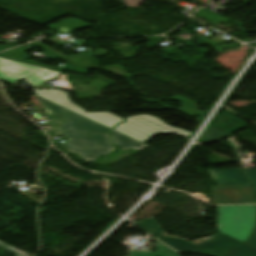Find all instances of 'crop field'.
I'll list each match as a JSON object with an SVG mask.
<instances>
[{
	"label": "crop field",
	"instance_id": "25",
	"mask_svg": "<svg viewBox=\"0 0 256 256\" xmlns=\"http://www.w3.org/2000/svg\"><path fill=\"white\" fill-rule=\"evenodd\" d=\"M190 134H191L190 132H187V131H186L184 136L187 137V138H189Z\"/></svg>",
	"mask_w": 256,
	"mask_h": 256
},
{
	"label": "crop field",
	"instance_id": "12",
	"mask_svg": "<svg viewBox=\"0 0 256 256\" xmlns=\"http://www.w3.org/2000/svg\"><path fill=\"white\" fill-rule=\"evenodd\" d=\"M111 136H112L113 144L122 150H124L128 147H133L135 149L141 150V149H144L147 146H149L145 143H142L138 140L128 137L122 133L115 131V130H113L111 132Z\"/></svg>",
	"mask_w": 256,
	"mask_h": 256
},
{
	"label": "crop field",
	"instance_id": "11",
	"mask_svg": "<svg viewBox=\"0 0 256 256\" xmlns=\"http://www.w3.org/2000/svg\"><path fill=\"white\" fill-rule=\"evenodd\" d=\"M90 26L91 25L89 23L83 22L75 18H71L67 20H62L61 23L50 25L48 27H50L53 30L51 32L55 33L53 35H57V34L64 35V34L71 33L72 30L90 27Z\"/></svg>",
	"mask_w": 256,
	"mask_h": 256
},
{
	"label": "crop field",
	"instance_id": "20",
	"mask_svg": "<svg viewBox=\"0 0 256 256\" xmlns=\"http://www.w3.org/2000/svg\"><path fill=\"white\" fill-rule=\"evenodd\" d=\"M245 172L251 180L252 184L256 186V169L245 170Z\"/></svg>",
	"mask_w": 256,
	"mask_h": 256
},
{
	"label": "crop field",
	"instance_id": "14",
	"mask_svg": "<svg viewBox=\"0 0 256 256\" xmlns=\"http://www.w3.org/2000/svg\"><path fill=\"white\" fill-rule=\"evenodd\" d=\"M84 117H87L91 120H94L96 122H99L109 128H113L116 123H120L123 121L122 118H119L117 116H114L108 112L105 113H86L82 115Z\"/></svg>",
	"mask_w": 256,
	"mask_h": 256
},
{
	"label": "crop field",
	"instance_id": "5",
	"mask_svg": "<svg viewBox=\"0 0 256 256\" xmlns=\"http://www.w3.org/2000/svg\"><path fill=\"white\" fill-rule=\"evenodd\" d=\"M127 122L118 125L115 130L129 135L142 142L163 133L184 135V130L166 125L162 120L148 115L126 118Z\"/></svg>",
	"mask_w": 256,
	"mask_h": 256
},
{
	"label": "crop field",
	"instance_id": "26",
	"mask_svg": "<svg viewBox=\"0 0 256 256\" xmlns=\"http://www.w3.org/2000/svg\"><path fill=\"white\" fill-rule=\"evenodd\" d=\"M255 188V192H256V187H254Z\"/></svg>",
	"mask_w": 256,
	"mask_h": 256
},
{
	"label": "crop field",
	"instance_id": "10",
	"mask_svg": "<svg viewBox=\"0 0 256 256\" xmlns=\"http://www.w3.org/2000/svg\"><path fill=\"white\" fill-rule=\"evenodd\" d=\"M35 95L58 104L66 109H69L79 115L85 113V110L71 103L66 92L62 90H38L34 91Z\"/></svg>",
	"mask_w": 256,
	"mask_h": 256
},
{
	"label": "crop field",
	"instance_id": "3",
	"mask_svg": "<svg viewBox=\"0 0 256 256\" xmlns=\"http://www.w3.org/2000/svg\"><path fill=\"white\" fill-rule=\"evenodd\" d=\"M53 126V131L109 134L110 129L68 111L58 105H43Z\"/></svg>",
	"mask_w": 256,
	"mask_h": 256
},
{
	"label": "crop field",
	"instance_id": "22",
	"mask_svg": "<svg viewBox=\"0 0 256 256\" xmlns=\"http://www.w3.org/2000/svg\"><path fill=\"white\" fill-rule=\"evenodd\" d=\"M248 245H250V246L256 248V231H255V233L253 234L251 240L248 242Z\"/></svg>",
	"mask_w": 256,
	"mask_h": 256
},
{
	"label": "crop field",
	"instance_id": "2",
	"mask_svg": "<svg viewBox=\"0 0 256 256\" xmlns=\"http://www.w3.org/2000/svg\"><path fill=\"white\" fill-rule=\"evenodd\" d=\"M256 206L218 207V231L243 243L255 227Z\"/></svg>",
	"mask_w": 256,
	"mask_h": 256
},
{
	"label": "crop field",
	"instance_id": "24",
	"mask_svg": "<svg viewBox=\"0 0 256 256\" xmlns=\"http://www.w3.org/2000/svg\"><path fill=\"white\" fill-rule=\"evenodd\" d=\"M36 97H37V96H36ZM37 99L40 101L41 104H53V103H51V102H49V101H46V100H44V99H42V98H40V97H37Z\"/></svg>",
	"mask_w": 256,
	"mask_h": 256
},
{
	"label": "crop field",
	"instance_id": "17",
	"mask_svg": "<svg viewBox=\"0 0 256 256\" xmlns=\"http://www.w3.org/2000/svg\"><path fill=\"white\" fill-rule=\"evenodd\" d=\"M229 135L218 131L212 127H210V129L208 130V132L205 134V136L203 137V140L210 142V141H214V140H218V139H222L225 138Z\"/></svg>",
	"mask_w": 256,
	"mask_h": 256
},
{
	"label": "crop field",
	"instance_id": "13",
	"mask_svg": "<svg viewBox=\"0 0 256 256\" xmlns=\"http://www.w3.org/2000/svg\"><path fill=\"white\" fill-rule=\"evenodd\" d=\"M156 246L158 250L155 252L144 249L141 251L132 250L128 254L129 256H180L177 252L173 251L159 241L156 243Z\"/></svg>",
	"mask_w": 256,
	"mask_h": 256
},
{
	"label": "crop field",
	"instance_id": "9",
	"mask_svg": "<svg viewBox=\"0 0 256 256\" xmlns=\"http://www.w3.org/2000/svg\"><path fill=\"white\" fill-rule=\"evenodd\" d=\"M218 186L249 184L241 168L210 171Z\"/></svg>",
	"mask_w": 256,
	"mask_h": 256
},
{
	"label": "crop field",
	"instance_id": "21",
	"mask_svg": "<svg viewBox=\"0 0 256 256\" xmlns=\"http://www.w3.org/2000/svg\"><path fill=\"white\" fill-rule=\"evenodd\" d=\"M205 41L207 44H211V45H216V44H219V43H223L224 41L221 40V39H205L203 40Z\"/></svg>",
	"mask_w": 256,
	"mask_h": 256
},
{
	"label": "crop field",
	"instance_id": "7",
	"mask_svg": "<svg viewBox=\"0 0 256 256\" xmlns=\"http://www.w3.org/2000/svg\"><path fill=\"white\" fill-rule=\"evenodd\" d=\"M33 44L58 56L59 58L63 59L64 61H66L76 67L95 68L96 66H98L97 61H95L93 58H91L87 53H81L79 55H76V56H73L70 58H65L64 56L56 53L55 51L49 49L48 47L44 46L43 44H41L39 42L33 43ZM108 52L109 51L99 48L97 51L91 53V55L101 57V56L107 54ZM112 67H114V69L109 67V68H105L104 70L113 72L118 75H122L126 78L131 76V75L127 74L126 71L124 70V68L121 66H112ZM98 68H101V67H98ZM115 69H118V71H116Z\"/></svg>",
	"mask_w": 256,
	"mask_h": 256
},
{
	"label": "crop field",
	"instance_id": "4",
	"mask_svg": "<svg viewBox=\"0 0 256 256\" xmlns=\"http://www.w3.org/2000/svg\"><path fill=\"white\" fill-rule=\"evenodd\" d=\"M57 136L66 137L64 144L70 152L78 153L87 161H94L101 155L113 151L108 135L55 132Z\"/></svg>",
	"mask_w": 256,
	"mask_h": 256
},
{
	"label": "crop field",
	"instance_id": "18",
	"mask_svg": "<svg viewBox=\"0 0 256 256\" xmlns=\"http://www.w3.org/2000/svg\"><path fill=\"white\" fill-rule=\"evenodd\" d=\"M195 14H197V15H199V16H201V17H203V18H205V19H207V20H209L213 23L227 21V20H224V18H222V17H220V16H218V15H216V14L210 12V11H207L205 9H203V10H201V11L195 13ZM218 19H221V20H218Z\"/></svg>",
	"mask_w": 256,
	"mask_h": 256
},
{
	"label": "crop field",
	"instance_id": "6",
	"mask_svg": "<svg viewBox=\"0 0 256 256\" xmlns=\"http://www.w3.org/2000/svg\"><path fill=\"white\" fill-rule=\"evenodd\" d=\"M214 204L256 203L250 185L212 188Z\"/></svg>",
	"mask_w": 256,
	"mask_h": 256
},
{
	"label": "crop field",
	"instance_id": "1",
	"mask_svg": "<svg viewBox=\"0 0 256 256\" xmlns=\"http://www.w3.org/2000/svg\"><path fill=\"white\" fill-rule=\"evenodd\" d=\"M135 223L181 252H199L208 256H256V249L222 233L216 234L215 238L205 242H189L166 235L152 217L135 221Z\"/></svg>",
	"mask_w": 256,
	"mask_h": 256
},
{
	"label": "crop field",
	"instance_id": "19",
	"mask_svg": "<svg viewBox=\"0 0 256 256\" xmlns=\"http://www.w3.org/2000/svg\"><path fill=\"white\" fill-rule=\"evenodd\" d=\"M0 247L5 249V250H7V251H9V252H11V253H13V254H15L16 256H29V254H26L24 252H21V251H18L16 249H13V248H11V247H9V246L1 243V242H0Z\"/></svg>",
	"mask_w": 256,
	"mask_h": 256
},
{
	"label": "crop field",
	"instance_id": "16",
	"mask_svg": "<svg viewBox=\"0 0 256 256\" xmlns=\"http://www.w3.org/2000/svg\"><path fill=\"white\" fill-rule=\"evenodd\" d=\"M191 106L194 108L198 107L197 105H195L193 103H181V108L178 111H180L186 115H189L191 117H194V118H195V116H199V118H197V119L201 120L204 116V113L190 108Z\"/></svg>",
	"mask_w": 256,
	"mask_h": 256
},
{
	"label": "crop field",
	"instance_id": "23",
	"mask_svg": "<svg viewBox=\"0 0 256 256\" xmlns=\"http://www.w3.org/2000/svg\"><path fill=\"white\" fill-rule=\"evenodd\" d=\"M171 99L174 100V101H187V102H189V100L184 99V98H180V97H178V96H175V97H173V98H171Z\"/></svg>",
	"mask_w": 256,
	"mask_h": 256
},
{
	"label": "crop field",
	"instance_id": "15",
	"mask_svg": "<svg viewBox=\"0 0 256 256\" xmlns=\"http://www.w3.org/2000/svg\"><path fill=\"white\" fill-rule=\"evenodd\" d=\"M58 74H60V73L44 69V70L30 76L29 78H27L25 80L28 81L31 85H33L36 88L37 86L42 84L44 81H46L48 79H52V78L56 77Z\"/></svg>",
	"mask_w": 256,
	"mask_h": 256
},
{
	"label": "crop field",
	"instance_id": "8",
	"mask_svg": "<svg viewBox=\"0 0 256 256\" xmlns=\"http://www.w3.org/2000/svg\"><path fill=\"white\" fill-rule=\"evenodd\" d=\"M41 69L43 68L0 58V79L8 83L23 80Z\"/></svg>",
	"mask_w": 256,
	"mask_h": 256
}]
</instances>
